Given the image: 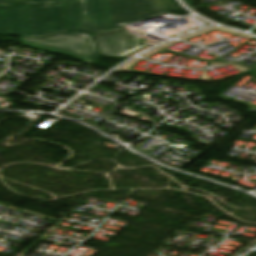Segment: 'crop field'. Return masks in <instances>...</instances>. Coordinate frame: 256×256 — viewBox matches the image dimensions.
<instances>
[{
    "label": "crop field",
    "instance_id": "obj_5",
    "mask_svg": "<svg viewBox=\"0 0 256 256\" xmlns=\"http://www.w3.org/2000/svg\"><path fill=\"white\" fill-rule=\"evenodd\" d=\"M93 37L101 55L122 57L139 48L138 37L125 26Z\"/></svg>",
    "mask_w": 256,
    "mask_h": 256
},
{
    "label": "crop field",
    "instance_id": "obj_1",
    "mask_svg": "<svg viewBox=\"0 0 256 256\" xmlns=\"http://www.w3.org/2000/svg\"><path fill=\"white\" fill-rule=\"evenodd\" d=\"M7 10L11 35L19 36L22 45L94 63L97 51L90 35L61 33L32 38L27 6L7 7Z\"/></svg>",
    "mask_w": 256,
    "mask_h": 256
},
{
    "label": "crop field",
    "instance_id": "obj_3",
    "mask_svg": "<svg viewBox=\"0 0 256 256\" xmlns=\"http://www.w3.org/2000/svg\"><path fill=\"white\" fill-rule=\"evenodd\" d=\"M112 26L177 11L171 0H107Z\"/></svg>",
    "mask_w": 256,
    "mask_h": 256
},
{
    "label": "crop field",
    "instance_id": "obj_6",
    "mask_svg": "<svg viewBox=\"0 0 256 256\" xmlns=\"http://www.w3.org/2000/svg\"><path fill=\"white\" fill-rule=\"evenodd\" d=\"M0 5H6L5 0H0ZM0 33L10 35L6 7H0Z\"/></svg>",
    "mask_w": 256,
    "mask_h": 256
},
{
    "label": "crop field",
    "instance_id": "obj_4",
    "mask_svg": "<svg viewBox=\"0 0 256 256\" xmlns=\"http://www.w3.org/2000/svg\"><path fill=\"white\" fill-rule=\"evenodd\" d=\"M28 4L60 3V6H28L33 37L66 31L64 0H27Z\"/></svg>",
    "mask_w": 256,
    "mask_h": 256
},
{
    "label": "crop field",
    "instance_id": "obj_2",
    "mask_svg": "<svg viewBox=\"0 0 256 256\" xmlns=\"http://www.w3.org/2000/svg\"><path fill=\"white\" fill-rule=\"evenodd\" d=\"M69 31L93 34L111 29L106 0H65Z\"/></svg>",
    "mask_w": 256,
    "mask_h": 256
},
{
    "label": "crop field",
    "instance_id": "obj_7",
    "mask_svg": "<svg viewBox=\"0 0 256 256\" xmlns=\"http://www.w3.org/2000/svg\"><path fill=\"white\" fill-rule=\"evenodd\" d=\"M7 5L27 4L26 0H6Z\"/></svg>",
    "mask_w": 256,
    "mask_h": 256
}]
</instances>
